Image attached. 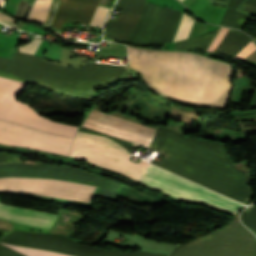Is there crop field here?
<instances>
[{"mask_svg": "<svg viewBox=\"0 0 256 256\" xmlns=\"http://www.w3.org/2000/svg\"><path fill=\"white\" fill-rule=\"evenodd\" d=\"M83 126L104 130L116 136L132 141L136 143V145L147 147L157 130V128L142 127L137 121L124 118L119 115L103 114L96 107L88 116ZM85 127H82L81 131L105 135L106 137L118 142L131 152L134 143L104 131ZM164 135L168 136V140L181 143L233 166L230 163L223 146L183 137L176 134L170 128H158L155 136L163 138ZM156 137H153L152 141L160 143L161 139ZM168 140L165 145L172 146L247 179V173L239 171L203 153ZM153 142L150 143L149 148L156 150L158 144ZM165 145L159 150V153L165 155L166 157L163 158L162 161L154 159L151 161L152 163L214 191L231 197L241 203L251 197V192L246 184V179Z\"/></svg>", "mask_w": 256, "mask_h": 256, "instance_id": "1", "label": "crop field"}, {"mask_svg": "<svg viewBox=\"0 0 256 256\" xmlns=\"http://www.w3.org/2000/svg\"><path fill=\"white\" fill-rule=\"evenodd\" d=\"M129 67L140 72L157 91L174 97L186 52L129 47ZM231 88V66L195 53H186L175 99L224 107Z\"/></svg>", "mask_w": 256, "mask_h": 256, "instance_id": "2", "label": "crop field"}, {"mask_svg": "<svg viewBox=\"0 0 256 256\" xmlns=\"http://www.w3.org/2000/svg\"><path fill=\"white\" fill-rule=\"evenodd\" d=\"M70 155L85 158L99 166L114 169L132 179L146 183L177 198L215 206L234 214L242 204L201 186L186 181L143 161L136 163L132 155L118 144L101 136L77 132ZM76 157V158H77Z\"/></svg>", "mask_w": 256, "mask_h": 256, "instance_id": "3", "label": "crop field"}, {"mask_svg": "<svg viewBox=\"0 0 256 256\" xmlns=\"http://www.w3.org/2000/svg\"><path fill=\"white\" fill-rule=\"evenodd\" d=\"M124 70L98 64H85L82 69L63 68L44 63L40 57L16 52L12 59L0 57V76L83 98H92L96 89L116 80Z\"/></svg>", "mask_w": 256, "mask_h": 256, "instance_id": "4", "label": "crop field"}, {"mask_svg": "<svg viewBox=\"0 0 256 256\" xmlns=\"http://www.w3.org/2000/svg\"><path fill=\"white\" fill-rule=\"evenodd\" d=\"M170 256H256V240L232 218L227 226L179 246Z\"/></svg>", "mask_w": 256, "mask_h": 256, "instance_id": "5", "label": "crop field"}, {"mask_svg": "<svg viewBox=\"0 0 256 256\" xmlns=\"http://www.w3.org/2000/svg\"><path fill=\"white\" fill-rule=\"evenodd\" d=\"M8 238L2 243L5 245L21 246L29 248L48 249L76 256H165L150 253H123L105 249H99L76 241L56 235L32 234L14 230L9 233ZM9 246L27 256H71L48 250L28 249Z\"/></svg>", "mask_w": 256, "mask_h": 256, "instance_id": "6", "label": "crop field"}, {"mask_svg": "<svg viewBox=\"0 0 256 256\" xmlns=\"http://www.w3.org/2000/svg\"><path fill=\"white\" fill-rule=\"evenodd\" d=\"M0 177L54 179L99 186L98 195L116 198L120 184L102 177L62 166L27 163L0 164Z\"/></svg>", "mask_w": 256, "mask_h": 256, "instance_id": "7", "label": "crop field"}, {"mask_svg": "<svg viewBox=\"0 0 256 256\" xmlns=\"http://www.w3.org/2000/svg\"><path fill=\"white\" fill-rule=\"evenodd\" d=\"M25 83L0 77V118L74 137L77 127L53 123L16 99Z\"/></svg>", "mask_w": 256, "mask_h": 256, "instance_id": "8", "label": "crop field"}, {"mask_svg": "<svg viewBox=\"0 0 256 256\" xmlns=\"http://www.w3.org/2000/svg\"><path fill=\"white\" fill-rule=\"evenodd\" d=\"M0 132L16 135L20 137H25L29 139H34L38 141H43L47 143H52L60 146H65L69 148H71L72 142L74 140L72 138L36 131L24 126L12 124V123L1 121V120H0ZM3 133H0V143L2 144L44 150V151L62 154L66 156H68L70 152L69 148L51 145V144L29 140L25 138H20L16 136H11ZM17 161H20V158L15 154L0 153V162H17Z\"/></svg>", "mask_w": 256, "mask_h": 256, "instance_id": "9", "label": "crop field"}, {"mask_svg": "<svg viewBox=\"0 0 256 256\" xmlns=\"http://www.w3.org/2000/svg\"><path fill=\"white\" fill-rule=\"evenodd\" d=\"M96 187L42 179L0 178V192L52 196L90 202Z\"/></svg>", "mask_w": 256, "mask_h": 256, "instance_id": "10", "label": "crop field"}, {"mask_svg": "<svg viewBox=\"0 0 256 256\" xmlns=\"http://www.w3.org/2000/svg\"><path fill=\"white\" fill-rule=\"evenodd\" d=\"M145 0H120L116 10H122L117 21L107 22L106 37L126 41L143 11Z\"/></svg>", "mask_w": 256, "mask_h": 256, "instance_id": "11", "label": "crop field"}, {"mask_svg": "<svg viewBox=\"0 0 256 256\" xmlns=\"http://www.w3.org/2000/svg\"><path fill=\"white\" fill-rule=\"evenodd\" d=\"M100 0H61L52 27L60 30L63 23L77 21L89 23Z\"/></svg>", "mask_w": 256, "mask_h": 256, "instance_id": "12", "label": "crop field"}, {"mask_svg": "<svg viewBox=\"0 0 256 256\" xmlns=\"http://www.w3.org/2000/svg\"><path fill=\"white\" fill-rule=\"evenodd\" d=\"M0 210L9 212V213H13V214H17V215H21V216H25V217H30V218H34V219H38V220L51 222V223H53L57 217L55 215H51V214H47V213L36 212V211H31V210H26V209H21V208H15V207L5 206V205H1V204H0ZM2 211H0V218H4V219H7V220H10L13 222L43 227V228H47V229H49L52 226L51 223L38 221V220L30 219V218H25V217L13 215V214L5 213Z\"/></svg>", "mask_w": 256, "mask_h": 256, "instance_id": "13", "label": "crop field"}, {"mask_svg": "<svg viewBox=\"0 0 256 256\" xmlns=\"http://www.w3.org/2000/svg\"><path fill=\"white\" fill-rule=\"evenodd\" d=\"M251 40L252 39H250L248 36L238 31L229 29L225 38L222 40V42L217 46V48L214 51L224 53L233 57Z\"/></svg>", "mask_w": 256, "mask_h": 256, "instance_id": "14", "label": "crop field"}, {"mask_svg": "<svg viewBox=\"0 0 256 256\" xmlns=\"http://www.w3.org/2000/svg\"><path fill=\"white\" fill-rule=\"evenodd\" d=\"M244 0H230L228 9L220 25L232 26L239 29L243 21L249 16L235 11Z\"/></svg>", "mask_w": 256, "mask_h": 256, "instance_id": "15", "label": "crop field"}, {"mask_svg": "<svg viewBox=\"0 0 256 256\" xmlns=\"http://www.w3.org/2000/svg\"><path fill=\"white\" fill-rule=\"evenodd\" d=\"M217 33H218V30L209 32L208 34L200 37L177 42L174 46V50H190L194 47L207 49V47L213 41Z\"/></svg>", "mask_w": 256, "mask_h": 256, "instance_id": "16", "label": "crop field"}, {"mask_svg": "<svg viewBox=\"0 0 256 256\" xmlns=\"http://www.w3.org/2000/svg\"><path fill=\"white\" fill-rule=\"evenodd\" d=\"M52 0H35L27 20L39 21L45 24Z\"/></svg>", "mask_w": 256, "mask_h": 256, "instance_id": "17", "label": "crop field"}, {"mask_svg": "<svg viewBox=\"0 0 256 256\" xmlns=\"http://www.w3.org/2000/svg\"><path fill=\"white\" fill-rule=\"evenodd\" d=\"M193 21L194 19L183 14L182 21L174 41L186 39L188 37Z\"/></svg>", "mask_w": 256, "mask_h": 256, "instance_id": "18", "label": "crop field"}, {"mask_svg": "<svg viewBox=\"0 0 256 256\" xmlns=\"http://www.w3.org/2000/svg\"><path fill=\"white\" fill-rule=\"evenodd\" d=\"M109 9L108 8H104V7H98L90 25L92 26H97V27H101L103 26V22L105 20V17L108 13Z\"/></svg>", "mask_w": 256, "mask_h": 256, "instance_id": "19", "label": "crop field"}, {"mask_svg": "<svg viewBox=\"0 0 256 256\" xmlns=\"http://www.w3.org/2000/svg\"><path fill=\"white\" fill-rule=\"evenodd\" d=\"M41 41L40 38L33 39L32 42L20 46L19 51L34 55Z\"/></svg>", "mask_w": 256, "mask_h": 256, "instance_id": "20", "label": "crop field"}, {"mask_svg": "<svg viewBox=\"0 0 256 256\" xmlns=\"http://www.w3.org/2000/svg\"><path fill=\"white\" fill-rule=\"evenodd\" d=\"M256 49L255 44L251 41L245 46L234 58L243 61L248 55H250Z\"/></svg>", "mask_w": 256, "mask_h": 256, "instance_id": "21", "label": "crop field"}, {"mask_svg": "<svg viewBox=\"0 0 256 256\" xmlns=\"http://www.w3.org/2000/svg\"><path fill=\"white\" fill-rule=\"evenodd\" d=\"M228 29L222 28L217 36L215 37L214 41L211 43V45L208 47L207 51H213L215 47L220 43V41L224 38L225 34L227 33Z\"/></svg>", "mask_w": 256, "mask_h": 256, "instance_id": "22", "label": "crop field"}, {"mask_svg": "<svg viewBox=\"0 0 256 256\" xmlns=\"http://www.w3.org/2000/svg\"><path fill=\"white\" fill-rule=\"evenodd\" d=\"M0 256H24L0 244Z\"/></svg>", "mask_w": 256, "mask_h": 256, "instance_id": "23", "label": "crop field"}, {"mask_svg": "<svg viewBox=\"0 0 256 256\" xmlns=\"http://www.w3.org/2000/svg\"><path fill=\"white\" fill-rule=\"evenodd\" d=\"M0 21L16 28V24H15L16 19H14L2 12H0Z\"/></svg>", "mask_w": 256, "mask_h": 256, "instance_id": "24", "label": "crop field"}, {"mask_svg": "<svg viewBox=\"0 0 256 256\" xmlns=\"http://www.w3.org/2000/svg\"><path fill=\"white\" fill-rule=\"evenodd\" d=\"M0 227L13 230V226L10 223L3 220H0ZM7 232H10V230L0 228V233L5 234Z\"/></svg>", "mask_w": 256, "mask_h": 256, "instance_id": "25", "label": "crop field"}, {"mask_svg": "<svg viewBox=\"0 0 256 256\" xmlns=\"http://www.w3.org/2000/svg\"><path fill=\"white\" fill-rule=\"evenodd\" d=\"M246 3L256 6V0H248V1H246Z\"/></svg>", "mask_w": 256, "mask_h": 256, "instance_id": "26", "label": "crop field"}, {"mask_svg": "<svg viewBox=\"0 0 256 256\" xmlns=\"http://www.w3.org/2000/svg\"><path fill=\"white\" fill-rule=\"evenodd\" d=\"M253 107H256V98H255V102H254V106Z\"/></svg>", "mask_w": 256, "mask_h": 256, "instance_id": "27", "label": "crop field"}, {"mask_svg": "<svg viewBox=\"0 0 256 256\" xmlns=\"http://www.w3.org/2000/svg\"><path fill=\"white\" fill-rule=\"evenodd\" d=\"M256 40V38H254Z\"/></svg>", "mask_w": 256, "mask_h": 256, "instance_id": "28", "label": "crop field"}, {"mask_svg": "<svg viewBox=\"0 0 256 256\" xmlns=\"http://www.w3.org/2000/svg\"><path fill=\"white\" fill-rule=\"evenodd\" d=\"M181 1H183V0H181Z\"/></svg>", "mask_w": 256, "mask_h": 256, "instance_id": "29", "label": "crop field"}]
</instances>
